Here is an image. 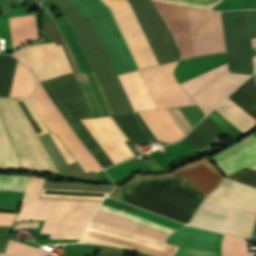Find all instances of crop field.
Masks as SVG:
<instances>
[{"label": "crop field", "mask_w": 256, "mask_h": 256, "mask_svg": "<svg viewBox=\"0 0 256 256\" xmlns=\"http://www.w3.org/2000/svg\"><path fill=\"white\" fill-rule=\"evenodd\" d=\"M177 62L140 70L158 108L195 104L176 83L173 71Z\"/></svg>", "instance_id": "10"}, {"label": "crop field", "mask_w": 256, "mask_h": 256, "mask_svg": "<svg viewBox=\"0 0 256 256\" xmlns=\"http://www.w3.org/2000/svg\"><path fill=\"white\" fill-rule=\"evenodd\" d=\"M29 70H27L23 65H21L19 62L17 63L11 91L9 97H22L27 76H28ZM35 78L32 76V74L29 72L25 92L23 97H27L30 94H32L35 86Z\"/></svg>", "instance_id": "23"}, {"label": "crop field", "mask_w": 256, "mask_h": 256, "mask_svg": "<svg viewBox=\"0 0 256 256\" xmlns=\"http://www.w3.org/2000/svg\"><path fill=\"white\" fill-rule=\"evenodd\" d=\"M97 213L103 214V215H107L122 221H126L138 226H142L157 232H161L167 235H170L173 231L172 229H169L167 227L155 224L153 222L138 218L136 216L127 214L125 212L122 211H118L109 207H105V206H100V208L98 209ZM95 213V215L93 216V218L91 219L90 223L92 224H96V225H101V226H106V227H110V228H115V229H119V230H124V231H129V232H133V233H137L146 237H150L159 241H163L165 242L166 238L168 237L167 235L161 234V233H157L142 227H138L126 222H122L107 216H103L100 214Z\"/></svg>", "instance_id": "13"}, {"label": "crop field", "mask_w": 256, "mask_h": 256, "mask_svg": "<svg viewBox=\"0 0 256 256\" xmlns=\"http://www.w3.org/2000/svg\"><path fill=\"white\" fill-rule=\"evenodd\" d=\"M174 256H220V252L179 247Z\"/></svg>", "instance_id": "32"}, {"label": "crop field", "mask_w": 256, "mask_h": 256, "mask_svg": "<svg viewBox=\"0 0 256 256\" xmlns=\"http://www.w3.org/2000/svg\"><path fill=\"white\" fill-rule=\"evenodd\" d=\"M251 136H255L256 137V132L252 133Z\"/></svg>", "instance_id": "40"}, {"label": "crop field", "mask_w": 256, "mask_h": 256, "mask_svg": "<svg viewBox=\"0 0 256 256\" xmlns=\"http://www.w3.org/2000/svg\"><path fill=\"white\" fill-rule=\"evenodd\" d=\"M118 77L135 111L157 109L139 71Z\"/></svg>", "instance_id": "17"}, {"label": "crop field", "mask_w": 256, "mask_h": 256, "mask_svg": "<svg viewBox=\"0 0 256 256\" xmlns=\"http://www.w3.org/2000/svg\"><path fill=\"white\" fill-rule=\"evenodd\" d=\"M0 168H22L0 118Z\"/></svg>", "instance_id": "24"}, {"label": "crop field", "mask_w": 256, "mask_h": 256, "mask_svg": "<svg viewBox=\"0 0 256 256\" xmlns=\"http://www.w3.org/2000/svg\"><path fill=\"white\" fill-rule=\"evenodd\" d=\"M173 175L204 195L211 192L225 179L204 164L173 173Z\"/></svg>", "instance_id": "16"}, {"label": "crop field", "mask_w": 256, "mask_h": 256, "mask_svg": "<svg viewBox=\"0 0 256 256\" xmlns=\"http://www.w3.org/2000/svg\"><path fill=\"white\" fill-rule=\"evenodd\" d=\"M210 158L228 176L230 173L256 161V138L248 136Z\"/></svg>", "instance_id": "14"}, {"label": "crop field", "mask_w": 256, "mask_h": 256, "mask_svg": "<svg viewBox=\"0 0 256 256\" xmlns=\"http://www.w3.org/2000/svg\"><path fill=\"white\" fill-rule=\"evenodd\" d=\"M55 22L57 23V25L59 26V28L63 32V34H64V36H65V38H66V40H67V42H68L72 52H73V55H74L78 65L80 67L81 72H90L88 67H87V65H86V63H85V61H84V59H83V57H82V55H81V52H80V50L78 48V45H77V43H76L72 33L68 29L66 23L64 22V20L62 18H59V19H56ZM44 24H45V26H46V28H47V30H48V32H49L53 42H55L56 45L62 44V46H63V48L65 50V53H66V55L68 57V60H69V62L71 64V67H72L73 71L74 72H79V70L77 68V65H76V62H75V59H74V57H73V55H72V53H71V51H70L66 41L64 40L61 32L59 31V29L54 24L52 18L45 20ZM74 74H75V76L77 78V81L79 83V86H80V88L82 90V93H83V95L85 97V100H86V102L88 104V107L90 109V112H91L92 116L93 117L100 116V115L104 116V114L102 112V109H101V107L99 105V102L97 100V97H96V95L94 93V90L92 88V85H91V83L89 81V78L87 76V73H83V75H84V77L86 79V82H87V84L89 86V89H90L91 94H92V96L94 98V101L96 103V106H97V108L99 110L100 115L98 113V110H97V108L95 106V103L93 101V98H92V96L90 94V91L88 89V86H87V84L85 82V79H84L82 73H74Z\"/></svg>", "instance_id": "11"}, {"label": "crop field", "mask_w": 256, "mask_h": 256, "mask_svg": "<svg viewBox=\"0 0 256 256\" xmlns=\"http://www.w3.org/2000/svg\"><path fill=\"white\" fill-rule=\"evenodd\" d=\"M171 116L175 120V122L178 124V126L183 130V132L186 134L188 131L193 128L190 123L185 119V117L182 115L179 108H170L168 109Z\"/></svg>", "instance_id": "33"}, {"label": "crop field", "mask_w": 256, "mask_h": 256, "mask_svg": "<svg viewBox=\"0 0 256 256\" xmlns=\"http://www.w3.org/2000/svg\"><path fill=\"white\" fill-rule=\"evenodd\" d=\"M107 194L109 193L43 189L41 196L104 199V197H106ZM51 197H41L40 199L101 202V200H93V199H72V198H51Z\"/></svg>", "instance_id": "25"}, {"label": "crop field", "mask_w": 256, "mask_h": 256, "mask_svg": "<svg viewBox=\"0 0 256 256\" xmlns=\"http://www.w3.org/2000/svg\"><path fill=\"white\" fill-rule=\"evenodd\" d=\"M253 47L256 46V39L252 40ZM254 56L256 55V47L253 48Z\"/></svg>", "instance_id": "39"}, {"label": "crop field", "mask_w": 256, "mask_h": 256, "mask_svg": "<svg viewBox=\"0 0 256 256\" xmlns=\"http://www.w3.org/2000/svg\"><path fill=\"white\" fill-rule=\"evenodd\" d=\"M256 219V189L226 178L198 209L190 225L249 238Z\"/></svg>", "instance_id": "3"}, {"label": "crop field", "mask_w": 256, "mask_h": 256, "mask_svg": "<svg viewBox=\"0 0 256 256\" xmlns=\"http://www.w3.org/2000/svg\"><path fill=\"white\" fill-rule=\"evenodd\" d=\"M46 127V126H45ZM48 130V129H47ZM48 132H49V130H48Z\"/></svg>", "instance_id": "43"}, {"label": "crop field", "mask_w": 256, "mask_h": 256, "mask_svg": "<svg viewBox=\"0 0 256 256\" xmlns=\"http://www.w3.org/2000/svg\"><path fill=\"white\" fill-rule=\"evenodd\" d=\"M112 10L125 39L140 67L177 60L180 51L151 0H103Z\"/></svg>", "instance_id": "2"}, {"label": "crop field", "mask_w": 256, "mask_h": 256, "mask_svg": "<svg viewBox=\"0 0 256 256\" xmlns=\"http://www.w3.org/2000/svg\"><path fill=\"white\" fill-rule=\"evenodd\" d=\"M222 256H253V253H247L245 241L224 235Z\"/></svg>", "instance_id": "27"}, {"label": "crop field", "mask_w": 256, "mask_h": 256, "mask_svg": "<svg viewBox=\"0 0 256 256\" xmlns=\"http://www.w3.org/2000/svg\"><path fill=\"white\" fill-rule=\"evenodd\" d=\"M50 136L52 137V139L54 140L55 144L57 145V147L59 148V150L61 151V153L63 154L64 158L66 159V161L68 162V164L75 162V160L73 159V157L68 153V151L65 149V147L62 145L61 141L57 138V136L53 133L50 134Z\"/></svg>", "instance_id": "35"}, {"label": "crop field", "mask_w": 256, "mask_h": 256, "mask_svg": "<svg viewBox=\"0 0 256 256\" xmlns=\"http://www.w3.org/2000/svg\"><path fill=\"white\" fill-rule=\"evenodd\" d=\"M43 178L32 176L16 221L46 220L40 233L50 238L80 239L99 203L38 200Z\"/></svg>", "instance_id": "4"}, {"label": "crop field", "mask_w": 256, "mask_h": 256, "mask_svg": "<svg viewBox=\"0 0 256 256\" xmlns=\"http://www.w3.org/2000/svg\"><path fill=\"white\" fill-rule=\"evenodd\" d=\"M14 57L32 68L39 81L73 72L62 46L55 43L23 47L15 51Z\"/></svg>", "instance_id": "9"}, {"label": "crop field", "mask_w": 256, "mask_h": 256, "mask_svg": "<svg viewBox=\"0 0 256 256\" xmlns=\"http://www.w3.org/2000/svg\"><path fill=\"white\" fill-rule=\"evenodd\" d=\"M247 77L249 76L228 73L226 63L181 86L207 114Z\"/></svg>", "instance_id": "8"}, {"label": "crop field", "mask_w": 256, "mask_h": 256, "mask_svg": "<svg viewBox=\"0 0 256 256\" xmlns=\"http://www.w3.org/2000/svg\"><path fill=\"white\" fill-rule=\"evenodd\" d=\"M99 129L103 132L112 146L116 149L123 160L135 156L124 141L132 140L126 129L123 127L117 116L92 118ZM91 118L82 119V123L103 148L114 164L122 161L121 157L111 146L102 132L98 129Z\"/></svg>", "instance_id": "12"}, {"label": "crop field", "mask_w": 256, "mask_h": 256, "mask_svg": "<svg viewBox=\"0 0 256 256\" xmlns=\"http://www.w3.org/2000/svg\"><path fill=\"white\" fill-rule=\"evenodd\" d=\"M0 256H5V255H3V254H0Z\"/></svg>", "instance_id": "42"}, {"label": "crop field", "mask_w": 256, "mask_h": 256, "mask_svg": "<svg viewBox=\"0 0 256 256\" xmlns=\"http://www.w3.org/2000/svg\"><path fill=\"white\" fill-rule=\"evenodd\" d=\"M131 214H134L136 216H139V217H142V218H145V219H148V220H151L153 222H156V223H159V224H162V225H165L167 227H170V228H173L175 230L183 227L184 225H181V224H178L176 222H173V221H170L168 219H165L163 217H160L158 215H155L153 213H150V212H147V211H144V210H141V209H138V208H135L133 207L132 210L130 211Z\"/></svg>", "instance_id": "29"}, {"label": "crop field", "mask_w": 256, "mask_h": 256, "mask_svg": "<svg viewBox=\"0 0 256 256\" xmlns=\"http://www.w3.org/2000/svg\"><path fill=\"white\" fill-rule=\"evenodd\" d=\"M122 253V250L116 249V248H107L102 249L98 256H120Z\"/></svg>", "instance_id": "37"}, {"label": "crop field", "mask_w": 256, "mask_h": 256, "mask_svg": "<svg viewBox=\"0 0 256 256\" xmlns=\"http://www.w3.org/2000/svg\"><path fill=\"white\" fill-rule=\"evenodd\" d=\"M165 1L211 9L214 5H216L221 0H165Z\"/></svg>", "instance_id": "34"}, {"label": "crop field", "mask_w": 256, "mask_h": 256, "mask_svg": "<svg viewBox=\"0 0 256 256\" xmlns=\"http://www.w3.org/2000/svg\"><path fill=\"white\" fill-rule=\"evenodd\" d=\"M69 20L114 114L134 112L90 20L68 0H50Z\"/></svg>", "instance_id": "5"}, {"label": "crop field", "mask_w": 256, "mask_h": 256, "mask_svg": "<svg viewBox=\"0 0 256 256\" xmlns=\"http://www.w3.org/2000/svg\"><path fill=\"white\" fill-rule=\"evenodd\" d=\"M223 235L186 226L170 235L167 243L178 246L220 251Z\"/></svg>", "instance_id": "15"}, {"label": "crop field", "mask_w": 256, "mask_h": 256, "mask_svg": "<svg viewBox=\"0 0 256 256\" xmlns=\"http://www.w3.org/2000/svg\"><path fill=\"white\" fill-rule=\"evenodd\" d=\"M34 93L39 98V100L42 102V104L45 106V108L48 110V112L52 115V117L56 120V122L60 125V127L63 129V131L69 137V139L72 141V143L75 145V147L81 153V155L84 157V159L90 165V167L93 169V171L94 172L102 171L100 166L95 162V160L92 158V156L88 153V151L85 149V147L81 144V142L78 140V138L74 135V133L71 131V129L65 123V121L62 119V117L56 111V109L54 108V106L52 105V103L49 101L46 94L44 93L43 89L39 85L38 81L36 83Z\"/></svg>", "instance_id": "18"}, {"label": "crop field", "mask_w": 256, "mask_h": 256, "mask_svg": "<svg viewBox=\"0 0 256 256\" xmlns=\"http://www.w3.org/2000/svg\"><path fill=\"white\" fill-rule=\"evenodd\" d=\"M35 250L36 248L24 245L10 239L4 253L10 256H31V254Z\"/></svg>", "instance_id": "31"}, {"label": "crop field", "mask_w": 256, "mask_h": 256, "mask_svg": "<svg viewBox=\"0 0 256 256\" xmlns=\"http://www.w3.org/2000/svg\"><path fill=\"white\" fill-rule=\"evenodd\" d=\"M176 39L181 58L227 52L229 72L251 75L254 72L251 39L256 38V11L220 12L168 4L153 0Z\"/></svg>", "instance_id": "1"}, {"label": "crop field", "mask_w": 256, "mask_h": 256, "mask_svg": "<svg viewBox=\"0 0 256 256\" xmlns=\"http://www.w3.org/2000/svg\"><path fill=\"white\" fill-rule=\"evenodd\" d=\"M87 16H89L99 34V37L108 53V56L116 70L117 74L137 70V66L128 50V47L119 31V28L109 10V8L101 1L97 0L106 10L121 43L134 67H132L119 38L101 5L96 0H69Z\"/></svg>", "instance_id": "7"}, {"label": "crop field", "mask_w": 256, "mask_h": 256, "mask_svg": "<svg viewBox=\"0 0 256 256\" xmlns=\"http://www.w3.org/2000/svg\"><path fill=\"white\" fill-rule=\"evenodd\" d=\"M50 250L40 247L34 256H46Z\"/></svg>", "instance_id": "38"}, {"label": "crop field", "mask_w": 256, "mask_h": 256, "mask_svg": "<svg viewBox=\"0 0 256 256\" xmlns=\"http://www.w3.org/2000/svg\"><path fill=\"white\" fill-rule=\"evenodd\" d=\"M246 169L256 172V162H255V164L247 167ZM246 169H242V170L228 176V178H231V179L237 180L239 182H242L244 184L256 187V173L246 170Z\"/></svg>", "instance_id": "30"}, {"label": "crop field", "mask_w": 256, "mask_h": 256, "mask_svg": "<svg viewBox=\"0 0 256 256\" xmlns=\"http://www.w3.org/2000/svg\"><path fill=\"white\" fill-rule=\"evenodd\" d=\"M17 214L0 213V226H9L15 221Z\"/></svg>", "instance_id": "36"}, {"label": "crop field", "mask_w": 256, "mask_h": 256, "mask_svg": "<svg viewBox=\"0 0 256 256\" xmlns=\"http://www.w3.org/2000/svg\"><path fill=\"white\" fill-rule=\"evenodd\" d=\"M228 98L256 119V81L254 75Z\"/></svg>", "instance_id": "22"}, {"label": "crop field", "mask_w": 256, "mask_h": 256, "mask_svg": "<svg viewBox=\"0 0 256 256\" xmlns=\"http://www.w3.org/2000/svg\"><path fill=\"white\" fill-rule=\"evenodd\" d=\"M28 101L31 103V105L33 106L35 111L38 113L40 118L44 121V123L48 126V128L51 131L60 129V127L57 125V123L54 121V119L50 116V114L47 112V110L44 108V106L41 104V102L38 100V98L35 96V94L32 95L30 98H28ZM54 133L60 138V140L64 143V145L73 154V156L76 158V160L81 165V167L84 169V171L85 172L90 171L91 168L88 166V164L85 162V160L79 154V152L76 150V148L73 146V144L67 138V136L63 133V131L60 129V130L54 131Z\"/></svg>", "instance_id": "20"}, {"label": "crop field", "mask_w": 256, "mask_h": 256, "mask_svg": "<svg viewBox=\"0 0 256 256\" xmlns=\"http://www.w3.org/2000/svg\"><path fill=\"white\" fill-rule=\"evenodd\" d=\"M215 110L243 133L256 124V121L252 117H250L228 98L223 101Z\"/></svg>", "instance_id": "21"}, {"label": "crop field", "mask_w": 256, "mask_h": 256, "mask_svg": "<svg viewBox=\"0 0 256 256\" xmlns=\"http://www.w3.org/2000/svg\"><path fill=\"white\" fill-rule=\"evenodd\" d=\"M254 62H255V66H256V58L254 59Z\"/></svg>", "instance_id": "41"}, {"label": "crop field", "mask_w": 256, "mask_h": 256, "mask_svg": "<svg viewBox=\"0 0 256 256\" xmlns=\"http://www.w3.org/2000/svg\"><path fill=\"white\" fill-rule=\"evenodd\" d=\"M30 177L0 176V190L24 192Z\"/></svg>", "instance_id": "28"}, {"label": "crop field", "mask_w": 256, "mask_h": 256, "mask_svg": "<svg viewBox=\"0 0 256 256\" xmlns=\"http://www.w3.org/2000/svg\"><path fill=\"white\" fill-rule=\"evenodd\" d=\"M13 48L38 39L35 16L9 18Z\"/></svg>", "instance_id": "19"}, {"label": "crop field", "mask_w": 256, "mask_h": 256, "mask_svg": "<svg viewBox=\"0 0 256 256\" xmlns=\"http://www.w3.org/2000/svg\"><path fill=\"white\" fill-rule=\"evenodd\" d=\"M17 61L0 54V96L8 97Z\"/></svg>", "instance_id": "26"}, {"label": "crop field", "mask_w": 256, "mask_h": 256, "mask_svg": "<svg viewBox=\"0 0 256 256\" xmlns=\"http://www.w3.org/2000/svg\"><path fill=\"white\" fill-rule=\"evenodd\" d=\"M0 112L22 166L59 173L16 99L0 98Z\"/></svg>", "instance_id": "6"}]
</instances>
